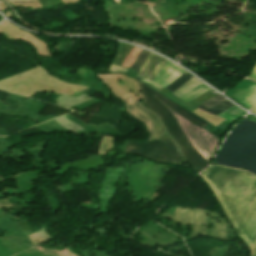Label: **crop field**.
<instances>
[{"label":"crop field","mask_w":256,"mask_h":256,"mask_svg":"<svg viewBox=\"0 0 256 256\" xmlns=\"http://www.w3.org/2000/svg\"><path fill=\"white\" fill-rule=\"evenodd\" d=\"M201 177L209 184L227 216L231 217L233 214L234 217L229 219L235 231L247 242L251 256H256V177L243 171L218 166L211 167ZM220 195L254 210L222 197L231 214ZM245 226L246 229L254 231L244 229Z\"/></svg>","instance_id":"crop-field-1"},{"label":"crop field","mask_w":256,"mask_h":256,"mask_svg":"<svg viewBox=\"0 0 256 256\" xmlns=\"http://www.w3.org/2000/svg\"><path fill=\"white\" fill-rule=\"evenodd\" d=\"M138 85L145 98V100L143 101L144 105L151 109L153 112H155L160 118L169 134L178 144L184 160L197 171H202L209 163L191 147V145L186 140L184 134L182 133L176 120L174 119L172 113L169 112L153 95L158 97L161 101H163L165 104H167L169 107H171L173 110H175L177 113H179L189 121L203 128L209 123L184 110L167 98L157 94L158 92H154L152 89H150L140 81H138Z\"/></svg>","instance_id":"crop-field-2"},{"label":"crop field","mask_w":256,"mask_h":256,"mask_svg":"<svg viewBox=\"0 0 256 256\" xmlns=\"http://www.w3.org/2000/svg\"><path fill=\"white\" fill-rule=\"evenodd\" d=\"M160 101V100H159ZM161 102V101H160ZM162 103V102H161ZM169 111L173 113L178 124L183 130L187 140L190 142L192 147L208 162H210L213 153L219 143V139L216 138L212 133L196 126L195 124L189 122L167 105L162 103Z\"/></svg>","instance_id":"crop-field-3"},{"label":"crop field","mask_w":256,"mask_h":256,"mask_svg":"<svg viewBox=\"0 0 256 256\" xmlns=\"http://www.w3.org/2000/svg\"><path fill=\"white\" fill-rule=\"evenodd\" d=\"M127 153L143 155L155 161L182 164L178 149L172 139L146 142L131 141Z\"/></svg>","instance_id":"crop-field-4"},{"label":"crop field","mask_w":256,"mask_h":256,"mask_svg":"<svg viewBox=\"0 0 256 256\" xmlns=\"http://www.w3.org/2000/svg\"><path fill=\"white\" fill-rule=\"evenodd\" d=\"M127 103V107L129 112L143 120L149 130L151 131L152 135L149 140H157L161 136L164 131L162 124L160 123L159 119L156 118L151 112L145 109L138 101H136L131 96L123 99Z\"/></svg>","instance_id":"crop-field-5"},{"label":"crop field","mask_w":256,"mask_h":256,"mask_svg":"<svg viewBox=\"0 0 256 256\" xmlns=\"http://www.w3.org/2000/svg\"><path fill=\"white\" fill-rule=\"evenodd\" d=\"M164 59L151 53L148 59L143 64V66L141 67V69L139 70L138 76L153 80V78L156 76L160 68L163 66L165 62Z\"/></svg>","instance_id":"crop-field-6"},{"label":"crop field","mask_w":256,"mask_h":256,"mask_svg":"<svg viewBox=\"0 0 256 256\" xmlns=\"http://www.w3.org/2000/svg\"><path fill=\"white\" fill-rule=\"evenodd\" d=\"M117 77L123 83L124 86H126L127 88L132 90L140 98H143L142 95H141V92L139 90V87L137 85V81L136 80L131 79V78H129V77L125 76V75H122V74H118Z\"/></svg>","instance_id":"crop-field-7"},{"label":"crop field","mask_w":256,"mask_h":256,"mask_svg":"<svg viewBox=\"0 0 256 256\" xmlns=\"http://www.w3.org/2000/svg\"><path fill=\"white\" fill-rule=\"evenodd\" d=\"M193 76L189 75L188 73H184L181 77H179L175 82H173L168 89L172 93L176 91L179 87H181L184 83H186L188 80H190Z\"/></svg>","instance_id":"crop-field-8"},{"label":"crop field","mask_w":256,"mask_h":256,"mask_svg":"<svg viewBox=\"0 0 256 256\" xmlns=\"http://www.w3.org/2000/svg\"><path fill=\"white\" fill-rule=\"evenodd\" d=\"M233 105L228 102L227 100L221 102L220 104L216 105L215 107L209 109L207 112H210L212 114L218 115L221 112L225 111L226 109L232 107Z\"/></svg>","instance_id":"crop-field-9"},{"label":"crop field","mask_w":256,"mask_h":256,"mask_svg":"<svg viewBox=\"0 0 256 256\" xmlns=\"http://www.w3.org/2000/svg\"><path fill=\"white\" fill-rule=\"evenodd\" d=\"M225 99H223L221 96L217 95L211 99H209L208 101L204 102L203 104H201L200 106H198L197 108H200L204 111L208 110L209 108H211L212 106L220 103L221 101H223Z\"/></svg>","instance_id":"crop-field-10"},{"label":"crop field","mask_w":256,"mask_h":256,"mask_svg":"<svg viewBox=\"0 0 256 256\" xmlns=\"http://www.w3.org/2000/svg\"><path fill=\"white\" fill-rule=\"evenodd\" d=\"M149 52H146L144 50H142V52L140 53V55L137 57V59L134 61V63L132 64L131 68H133L136 72H138L140 66L143 64V62L146 60V58L148 57Z\"/></svg>","instance_id":"crop-field-11"},{"label":"crop field","mask_w":256,"mask_h":256,"mask_svg":"<svg viewBox=\"0 0 256 256\" xmlns=\"http://www.w3.org/2000/svg\"><path fill=\"white\" fill-rule=\"evenodd\" d=\"M140 81L144 82L145 84L149 85L150 87L154 88L155 90H159L162 88V86L154 83V82H151L149 80H145V79H141V78H138Z\"/></svg>","instance_id":"crop-field-12"},{"label":"crop field","mask_w":256,"mask_h":256,"mask_svg":"<svg viewBox=\"0 0 256 256\" xmlns=\"http://www.w3.org/2000/svg\"><path fill=\"white\" fill-rule=\"evenodd\" d=\"M124 70H125L124 67H118V66H113V65H111L110 69H109V71H111L112 73H123Z\"/></svg>","instance_id":"crop-field-13"}]
</instances>
